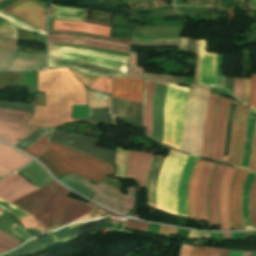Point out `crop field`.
I'll use <instances>...</instances> for the list:
<instances>
[{
	"label": "crop field",
	"instance_id": "crop-field-53",
	"mask_svg": "<svg viewBox=\"0 0 256 256\" xmlns=\"http://www.w3.org/2000/svg\"><path fill=\"white\" fill-rule=\"evenodd\" d=\"M218 99H219V96H218V98H217L216 105H215V109H214L213 124H214V116H215V112H216V108H217ZM213 124H212V138H213ZM211 145H212V139H211ZM210 151H211V147H210ZM209 156H210V153H209ZM209 156H208V157H209Z\"/></svg>",
	"mask_w": 256,
	"mask_h": 256
},
{
	"label": "crop field",
	"instance_id": "crop-field-27",
	"mask_svg": "<svg viewBox=\"0 0 256 256\" xmlns=\"http://www.w3.org/2000/svg\"><path fill=\"white\" fill-rule=\"evenodd\" d=\"M216 95H209V102L206 112V119H205V129H204V138H203V145L201 154L202 156H208L209 147H210V136H211V124H212V114L213 108L216 101Z\"/></svg>",
	"mask_w": 256,
	"mask_h": 256
},
{
	"label": "crop field",
	"instance_id": "crop-field-36",
	"mask_svg": "<svg viewBox=\"0 0 256 256\" xmlns=\"http://www.w3.org/2000/svg\"><path fill=\"white\" fill-rule=\"evenodd\" d=\"M49 133V132H48ZM47 134H45L41 139H39L35 144L31 147L27 148L26 152L30 153L31 155L37 157L40 153L43 152L45 147L47 146Z\"/></svg>",
	"mask_w": 256,
	"mask_h": 256
},
{
	"label": "crop field",
	"instance_id": "crop-field-16",
	"mask_svg": "<svg viewBox=\"0 0 256 256\" xmlns=\"http://www.w3.org/2000/svg\"><path fill=\"white\" fill-rule=\"evenodd\" d=\"M228 99L220 97L218 108L215 116L214 124V138L211 157L212 159H219L222 147L223 132H224V123H225V114L228 104Z\"/></svg>",
	"mask_w": 256,
	"mask_h": 256
},
{
	"label": "crop field",
	"instance_id": "crop-field-11",
	"mask_svg": "<svg viewBox=\"0 0 256 256\" xmlns=\"http://www.w3.org/2000/svg\"><path fill=\"white\" fill-rule=\"evenodd\" d=\"M143 79L113 77L112 96L141 102Z\"/></svg>",
	"mask_w": 256,
	"mask_h": 256
},
{
	"label": "crop field",
	"instance_id": "crop-field-48",
	"mask_svg": "<svg viewBox=\"0 0 256 256\" xmlns=\"http://www.w3.org/2000/svg\"><path fill=\"white\" fill-rule=\"evenodd\" d=\"M177 232L176 229L160 226L159 235H175Z\"/></svg>",
	"mask_w": 256,
	"mask_h": 256
},
{
	"label": "crop field",
	"instance_id": "crop-field-62",
	"mask_svg": "<svg viewBox=\"0 0 256 256\" xmlns=\"http://www.w3.org/2000/svg\"><path fill=\"white\" fill-rule=\"evenodd\" d=\"M250 256H256V251H252Z\"/></svg>",
	"mask_w": 256,
	"mask_h": 256
},
{
	"label": "crop field",
	"instance_id": "crop-field-12",
	"mask_svg": "<svg viewBox=\"0 0 256 256\" xmlns=\"http://www.w3.org/2000/svg\"><path fill=\"white\" fill-rule=\"evenodd\" d=\"M0 183V198L9 203L37 189L16 173Z\"/></svg>",
	"mask_w": 256,
	"mask_h": 256
},
{
	"label": "crop field",
	"instance_id": "crop-field-6",
	"mask_svg": "<svg viewBox=\"0 0 256 256\" xmlns=\"http://www.w3.org/2000/svg\"><path fill=\"white\" fill-rule=\"evenodd\" d=\"M189 88L168 85L165 98L163 143L180 148L185 105Z\"/></svg>",
	"mask_w": 256,
	"mask_h": 256
},
{
	"label": "crop field",
	"instance_id": "crop-field-5",
	"mask_svg": "<svg viewBox=\"0 0 256 256\" xmlns=\"http://www.w3.org/2000/svg\"><path fill=\"white\" fill-rule=\"evenodd\" d=\"M187 158L188 154L171 149L164 160L156 188L157 208L176 214L178 180Z\"/></svg>",
	"mask_w": 256,
	"mask_h": 256
},
{
	"label": "crop field",
	"instance_id": "crop-field-49",
	"mask_svg": "<svg viewBox=\"0 0 256 256\" xmlns=\"http://www.w3.org/2000/svg\"><path fill=\"white\" fill-rule=\"evenodd\" d=\"M251 170H256V129H255V137H254V147H253V156L250 164Z\"/></svg>",
	"mask_w": 256,
	"mask_h": 256
},
{
	"label": "crop field",
	"instance_id": "crop-field-59",
	"mask_svg": "<svg viewBox=\"0 0 256 256\" xmlns=\"http://www.w3.org/2000/svg\"><path fill=\"white\" fill-rule=\"evenodd\" d=\"M223 250H216L213 256H220Z\"/></svg>",
	"mask_w": 256,
	"mask_h": 256
},
{
	"label": "crop field",
	"instance_id": "crop-field-42",
	"mask_svg": "<svg viewBox=\"0 0 256 256\" xmlns=\"http://www.w3.org/2000/svg\"><path fill=\"white\" fill-rule=\"evenodd\" d=\"M148 225L149 224H147V223H141V222H137V221H133V220H127L124 228L147 232Z\"/></svg>",
	"mask_w": 256,
	"mask_h": 256
},
{
	"label": "crop field",
	"instance_id": "crop-field-44",
	"mask_svg": "<svg viewBox=\"0 0 256 256\" xmlns=\"http://www.w3.org/2000/svg\"><path fill=\"white\" fill-rule=\"evenodd\" d=\"M250 92V78H243V100L242 102L248 105Z\"/></svg>",
	"mask_w": 256,
	"mask_h": 256
},
{
	"label": "crop field",
	"instance_id": "crop-field-63",
	"mask_svg": "<svg viewBox=\"0 0 256 256\" xmlns=\"http://www.w3.org/2000/svg\"><path fill=\"white\" fill-rule=\"evenodd\" d=\"M250 252H244L243 256H249Z\"/></svg>",
	"mask_w": 256,
	"mask_h": 256
},
{
	"label": "crop field",
	"instance_id": "crop-field-66",
	"mask_svg": "<svg viewBox=\"0 0 256 256\" xmlns=\"http://www.w3.org/2000/svg\"><path fill=\"white\" fill-rule=\"evenodd\" d=\"M1 1V0H0Z\"/></svg>",
	"mask_w": 256,
	"mask_h": 256
},
{
	"label": "crop field",
	"instance_id": "crop-field-30",
	"mask_svg": "<svg viewBox=\"0 0 256 256\" xmlns=\"http://www.w3.org/2000/svg\"><path fill=\"white\" fill-rule=\"evenodd\" d=\"M89 108L108 107L111 113V96L108 94L86 89Z\"/></svg>",
	"mask_w": 256,
	"mask_h": 256
},
{
	"label": "crop field",
	"instance_id": "crop-field-15",
	"mask_svg": "<svg viewBox=\"0 0 256 256\" xmlns=\"http://www.w3.org/2000/svg\"><path fill=\"white\" fill-rule=\"evenodd\" d=\"M216 53L207 51V39H200V75L198 84L214 86Z\"/></svg>",
	"mask_w": 256,
	"mask_h": 256
},
{
	"label": "crop field",
	"instance_id": "crop-field-34",
	"mask_svg": "<svg viewBox=\"0 0 256 256\" xmlns=\"http://www.w3.org/2000/svg\"><path fill=\"white\" fill-rule=\"evenodd\" d=\"M26 112L0 109V118L10 121L24 122Z\"/></svg>",
	"mask_w": 256,
	"mask_h": 256
},
{
	"label": "crop field",
	"instance_id": "crop-field-20",
	"mask_svg": "<svg viewBox=\"0 0 256 256\" xmlns=\"http://www.w3.org/2000/svg\"><path fill=\"white\" fill-rule=\"evenodd\" d=\"M206 164L204 160H197L193 173L190 177L189 190H188V216L198 220V206L197 195L199 180L202 174V170Z\"/></svg>",
	"mask_w": 256,
	"mask_h": 256
},
{
	"label": "crop field",
	"instance_id": "crop-field-58",
	"mask_svg": "<svg viewBox=\"0 0 256 256\" xmlns=\"http://www.w3.org/2000/svg\"><path fill=\"white\" fill-rule=\"evenodd\" d=\"M249 110L250 109H248V113H249ZM248 113H247V116H248ZM247 116H246V120H247ZM245 126H246V121H245ZM245 126H244V136H245ZM243 143H244V138H243ZM242 151H243V145H242ZM242 151H241V156H242ZM240 160H241V157H240ZM239 165H240V162L238 164V167H239Z\"/></svg>",
	"mask_w": 256,
	"mask_h": 256
},
{
	"label": "crop field",
	"instance_id": "crop-field-22",
	"mask_svg": "<svg viewBox=\"0 0 256 256\" xmlns=\"http://www.w3.org/2000/svg\"><path fill=\"white\" fill-rule=\"evenodd\" d=\"M247 109L248 108L240 104L238 108L237 116H236L232 153L229 159V163L235 166L237 165L240 157L242 138H243V126H244V120H245Z\"/></svg>",
	"mask_w": 256,
	"mask_h": 256
},
{
	"label": "crop field",
	"instance_id": "crop-field-1",
	"mask_svg": "<svg viewBox=\"0 0 256 256\" xmlns=\"http://www.w3.org/2000/svg\"><path fill=\"white\" fill-rule=\"evenodd\" d=\"M37 92H45V105L35 106L27 124L52 127L71 119V105H87L84 86L68 68L39 72Z\"/></svg>",
	"mask_w": 256,
	"mask_h": 256
},
{
	"label": "crop field",
	"instance_id": "crop-field-55",
	"mask_svg": "<svg viewBox=\"0 0 256 256\" xmlns=\"http://www.w3.org/2000/svg\"><path fill=\"white\" fill-rule=\"evenodd\" d=\"M243 252L241 251H231L229 256H242Z\"/></svg>",
	"mask_w": 256,
	"mask_h": 256
},
{
	"label": "crop field",
	"instance_id": "crop-field-35",
	"mask_svg": "<svg viewBox=\"0 0 256 256\" xmlns=\"http://www.w3.org/2000/svg\"><path fill=\"white\" fill-rule=\"evenodd\" d=\"M112 79L98 77L90 87L91 89L99 90L111 94Z\"/></svg>",
	"mask_w": 256,
	"mask_h": 256
},
{
	"label": "crop field",
	"instance_id": "crop-field-37",
	"mask_svg": "<svg viewBox=\"0 0 256 256\" xmlns=\"http://www.w3.org/2000/svg\"><path fill=\"white\" fill-rule=\"evenodd\" d=\"M250 216H251L253 228H256V176L251 187Z\"/></svg>",
	"mask_w": 256,
	"mask_h": 256
},
{
	"label": "crop field",
	"instance_id": "crop-field-50",
	"mask_svg": "<svg viewBox=\"0 0 256 256\" xmlns=\"http://www.w3.org/2000/svg\"><path fill=\"white\" fill-rule=\"evenodd\" d=\"M49 36H55V37H72V38L85 39V40H91V41H96V42H102V43H107V44H113V45H120V46L129 47L128 45H122V44H117V43H112V42H106V41H101V40H95V39H89V38L78 37V36H59V35H49Z\"/></svg>",
	"mask_w": 256,
	"mask_h": 256
},
{
	"label": "crop field",
	"instance_id": "crop-field-56",
	"mask_svg": "<svg viewBox=\"0 0 256 256\" xmlns=\"http://www.w3.org/2000/svg\"><path fill=\"white\" fill-rule=\"evenodd\" d=\"M215 166H216V164H215ZM215 166H214V168H215ZM214 168H213V170H214ZM212 173H213V171H212ZM212 173L210 175V180L212 177ZM210 180H209V183H210ZM208 190H209V185H208ZM207 213H208V191H207ZM208 225H209V213H208Z\"/></svg>",
	"mask_w": 256,
	"mask_h": 256
},
{
	"label": "crop field",
	"instance_id": "crop-field-43",
	"mask_svg": "<svg viewBox=\"0 0 256 256\" xmlns=\"http://www.w3.org/2000/svg\"><path fill=\"white\" fill-rule=\"evenodd\" d=\"M250 106L256 108V74H251V99Z\"/></svg>",
	"mask_w": 256,
	"mask_h": 256
},
{
	"label": "crop field",
	"instance_id": "crop-field-19",
	"mask_svg": "<svg viewBox=\"0 0 256 256\" xmlns=\"http://www.w3.org/2000/svg\"><path fill=\"white\" fill-rule=\"evenodd\" d=\"M36 128L24 124L0 120V138L17 144L27 137Z\"/></svg>",
	"mask_w": 256,
	"mask_h": 256
},
{
	"label": "crop field",
	"instance_id": "crop-field-31",
	"mask_svg": "<svg viewBox=\"0 0 256 256\" xmlns=\"http://www.w3.org/2000/svg\"><path fill=\"white\" fill-rule=\"evenodd\" d=\"M127 154H128V150L118 147L117 153L115 156V160H116L115 177L124 178Z\"/></svg>",
	"mask_w": 256,
	"mask_h": 256
},
{
	"label": "crop field",
	"instance_id": "crop-field-61",
	"mask_svg": "<svg viewBox=\"0 0 256 256\" xmlns=\"http://www.w3.org/2000/svg\"><path fill=\"white\" fill-rule=\"evenodd\" d=\"M229 253H230V251L224 250V252H223V254L221 256H228Z\"/></svg>",
	"mask_w": 256,
	"mask_h": 256
},
{
	"label": "crop field",
	"instance_id": "crop-field-47",
	"mask_svg": "<svg viewBox=\"0 0 256 256\" xmlns=\"http://www.w3.org/2000/svg\"><path fill=\"white\" fill-rule=\"evenodd\" d=\"M188 238H191V239L210 238V234L209 233H204V232L190 231Z\"/></svg>",
	"mask_w": 256,
	"mask_h": 256
},
{
	"label": "crop field",
	"instance_id": "crop-field-41",
	"mask_svg": "<svg viewBox=\"0 0 256 256\" xmlns=\"http://www.w3.org/2000/svg\"><path fill=\"white\" fill-rule=\"evenodd\" d=\"M73 74L82 82L84 83L88 88L90 87V85L95 81V79L97 78L96 76H92V75H87V74H83L77 70H73L70 69Z\"/></svg>",
	"mask_w": 256,
	"mask_h": 256
},
{
	"label": "crop field",
	"instance_id": "crop-field-21",
	"mask_svg": "<svg viewBox=\"0 0 256 256\" xmlns=\"http://www.w3.org/2000/svg\"><path fill=\"white\" fill-rule=\"evenodd\" d=\"M224 165L218 164L211 183L209 191V213H210V226H219V216H218V190L219 183L221 181L222 174L225 170Z\"/></svg>",
	"mask_w": 256,
	"mask_h": 256
},
{
	"label": "crop field",
	"instance_id": "crop-field-38",
	"mask_svg": "<svg viewBox=\"0 0 256 256\" xmlns=\"http://www.w3.org/2000/svg\"><path fill=\"white\" fill-rule=\"evenodd\" d=\"M137 52H130L128 75L142 76L144 68L136 66Z\"/></svg>",
	"mask_w": 256,
	"mask_h": 256
},
{
	"label": "crop field",
	"instance_id": "crop-field-8",
	"mask_svg": "<svg viewBox=\"0 0 256 256\" xmlns=\"http://www.w3.org/2000/svg\"><path fill=\"white\" fill-rule=\"evenodd\" d=\"M2 10L42 29H46V9L40 7L39 5L29 1V0H19ZM0 16L6 19L8 22L12 23L13 26L23 28L26 30L34 31L37 33L45 34V32L3 12L0 10Z\"/></svg>",
	"mask_w": 256,
	"mask_h": 256
},
{
	"label": "crop field",
	"instance_id": "crop-field-39",
	"mask_svg": "<svg viewBox=\"0 0 256 256\" xmlns=\"http://www.w3.org/2000/svg\"><path fill=\"white\" fill-rule=\"evenodd\" d=\"M215 249L213 248H200L192 246L189 256H212Z\"/></svg>",
	"mask_w": 256,
	"mask_h": 256
},
{
	"label": "crop field",
	"instance_id": "crop-field-3",
	"mask_svg": "<svg viewBox=\"0 0 256 256\" xmlns=\"http://www.w3.org/2000/svg\"><path fill=\"white\" fill-rule=\"evenodd\" d=\"M41 155L64 176L76 172L98 184L107 174H114L113 166L63 145L49 142Z\"/></svg>",
	"mask_w": 256,
	"mask_h": 256
},
{
	"label": "crop field",
	"instance_id": "crop-field-17",
	"mask_svg": "<svg viewBox=\"0 0 256 256\" xmlns=\"http://www.w3.org/2000/svg\"><path fill=\"white\" fill-rule=\"evenodd\" d=\"M197 158L196 156L190 155L181 172L177 194V214L180 215L187 216L188 182Z\"/></svg>",
	"mask_w": 256,
	"mask_h": 256
},
{
	"label": "crop field",
	"instance_id": "crop-field-54",
	"mask_svg": "<svg viewBox=\"0 0 256 256\" xmlns=\"http://www.w3.org/2000/svg\"><path fill=\"white\" fill-rule=\"evenodd\" d=\"M89 204H91V203H89ZM92 206H93V205H92ZM95 206H96V205H95ZM96 207H98V206H96ZM98 208L101 209L102 211H104L106 214H108V215H110V216H114V217H118V218H124V217H122V216H119V215L110 213V212H108V211H106V210H104V209H102V208H100V207H98Z\"/></svg>",
	"mask_w": 256,
	"mask_h": 256
},
{
	"label": "crop field",
	"instance_id": "crop-field-45",
	"mask_svg": "<svg viewBox=\"0 0 256 256\" xmlns=\"http://www.w3.org/2000/svg\"><path fill=\"white\" fill-rule=\"evenodd\" d=\"M233 94L241 100V98H242V79L234 78Z\"/></svg>",
	"mask_w": 256,
	"mask_h": 256
},
{
	"label": "crop field",
	"instance_id": "crop-field-24",
	"mask_svg": "<svg viewBox=\"0 0 256 256\" xmlns=\"http://www.w3.org/2000/svg\"><path fill=\"white\" fill-rule=\"evenodd\" d=\"M255 121H256V111L251 109L248 122H247V127H246L244 151H243V157H242L241 166H240L246 169H248L249 162H250L253 137H254V129H255Z\"/></svg>",
	"mask_w": 256,
	"mask_h": 256
},
{
	"label": "crop field",
	"instance_id": "crop-field-57",
	"mask_svg": "<svg viewBox=\"0 0 256 256\" xmlns=\"http://www.w3.org/2000/svg\"><path fill=\"white\" fill-rule=\"evenodd\" d=\"M247 173L248 172H246L245 179H246ZM245 179H244V182H245ZM244 182H243V184H244ZM243 184H242V187H243ZM241 194H242V189H241ZM240 216H241V195H240ZM241 223H242V227H243L242 216H241ZM243 229H244V227H243Z\"/></svg>",
	"mask_w": 256,
	"mask_h": 256
},
{
	"label": "crop field",
	"instance_id": "crop-field-64",
	"mask_svg": "<svg viewBox=\"0 0 256 256\" xmlns=\"http://www.w3.org/2000/svg\"><path fill=\"white\" fill-rule=\"evenodd\" d=\"M225 77L223 76V87H224Z\"/></svg>",
	"mask_w": 256,
	"mask_h": 256
},
{
	"label": "crop field",
	"instance_id": "crop-field-60",
	"mask_svg": "<svg viewBox=\"0 0 256 256\" xmlns=\"http://www.w3.org/2000/svg\"><path fill=\"white\" fill-rule=\"evenodd\" d=\"M221 238H231V233L222 234Z\"/></svg>",
	"mask_w": 256,
	"mask_h": 256
},
{
	"label": "crop field",
	"instance_id": "crop-field-13",
	"mask_svg": "<svg viewBox=\"0 0 256 256\" xmlns=\"http://www.w3.org/2000/svg\"><path fill=\"white\" fill-rule=\"evenodd\" d=\"M31 158L0 142V177L12 173L25 165Z\"/></svg>",
	"mask_w": 256,
	"mask_h": 256
},
{
	"label": "crop field",
	"instance_id": "crop-field-33",
	"mask_svg": "<svg viewBox=\"0 0 256 256\" xmlns=\"http://www.w3.org/2000/svg\"><path fill=\"white\" fill-rule=\"evenodd\" d=\"M182 28L139 27L137 32L149 34H179Z\"/></svg>",
	"mask_w": 256,
	"mask_h": 256
},
{
	"label": "crop field",
	"instance_id": "crop-field-52",
	"mask_svg": "<svg viewBox=\"0 0 256 256\" xmlns=\"http://www.w3.org/2000/svg\"><path fill=\"white\" fill-rule=\"evenodd\" d=\"M188 232L189 231H186V230H180V232H179L180 238L187 239Z\"/></svg>",
	"mask_w": 256,
	"mask_h": 256
},
{
	"label": "crop field",
	"instance_id": "crop-field-32",
	"mask_svg": "<svg viewBox=\"0 0 256 256\" xmlns=\"http://www.w3.org/2000/svg\"><path fill=\"white\" fill-rule=\"evenodd\" d=\"M4 213H6V212L0 209V215H2ZM20 244H22V243L14 240L11 237L0 232V252H2V253L7 252Z\"/></svg>",
	"mask_w": 256,
	"mask_h": 256
},
{
	"label": "crop field",
	"instance_id": "crop-field-29",
	"mask_svg": "<svg viewBox=\"0 0 256 256\" xmlns=\"http://www.w3.org/2000/svg\"><path fill=\"white\" fill-rule=\"evenodd\" d=\"M256 173L249 172L242 194V216L245 229H251V220L249 216V189Z\"/></svg>",
	"mask_w": 256,
	"mask_h": 256
},
{
	"label": "crop field",
	"instance_id": "crop-field-4",
	"mask_svg": "<svg viewBox=\"0 0 256 256\" xmlns=\"http://www.w3.org/2000/svg\"><path fill=\"white\" fill-rule=\"evenodd\" d=\"M209 90L208 87L190 86L181 151L200 154Z\"/></svg>",
	"mask_w": 256,
	"mask_h": 256
},
{
	"label": "crop field",
	"instance_id": "crop-field-18",
	"mask_svg": "<svg viewBox=\"0 0 256 256\" xmlns=\"http://www.w3.org/2000/svg\"><path fill=\"white\" fill-rule=\"evenodd\" d=\"M245 171L244 169H237L230 188V217L231 227L234 229H242L239 217V195Z\"/></svg>",
	"mask_w": 256,
	"mask_h": 256
},
{
	"label": "crop field",
	"instance_id": "crop-field-40",
	"mask_svg": "<svg viewBox=\"0 0 256 256\" xmlns=\"http://www.w3.org/2000/svg\"><path fill=\"white\" fill-rule=\"evenodd\" d=\"M145 77L149 78H154V79H159L163 81H168V82H178L182 83L183 77H178V76H168V75H158V74H148L144 73Z\"/></svg>",
	"mask_w": 256,
	"mask_h": 256
},
{
	"label": "crop field",
	"instance_id": "crop-field-9",
	"mask_svg": "<svg viewBox=\"0 0 256 256\" xmlns=\"http://www.w3.org/2000/svg\"><path fill=\"white\" fill-rule=\"evenodd\" d=\"M68 176L75 179L84 186L90 188L91 190L95 191L96 193L92 199L93 201L101 205L107 206L115 211L121 212L125 215L127 214L128 208L133 209L135 201L134 187H128L129 193L128 195H126L107 186L102 182L99 185H96L75 173Z\"/></svg>",
	"mask_w": 256,
	"mask_h": 256
},
{
	"label": "crop field",
	"instance_id": "crop-field-28",
	"mask_svg": "<svg viewBox=\"0 0 256 256\" xmlns=\"http://www.w3.org/2000/svg\"><path fill=\"white\" fill-rule=\"evenodd\" d=\"M52 42L78 44V45H84V46H89V47H95V48H101V49L125 52V53H128V50H129V48H126V47L100 44V43H95V42H91V41L49 37L48 46H52Z\"/></svg>",
	"mask_w": 256,
	"mask_h": 256
},
{
	"label": "crop field",
	"instance_id": "crop-field-26",
	"mask_svg": "<svg viewBox=\"0 0 256 256\" xmlns=\"http://www.w3.org/2000/svg\"><path fill=\"white\" fill-rule=\"evenodd\" d=\"M215 163L207 162L203 174L201 176L200 188H199V196H198V206H199V220L207 222V214H206V190L209 175L212 171V168Z\"/></svg>",
	"mask_w": 256,
	"mask_h": 256
},
{
	"label": "crop field",
	"instance_id": "crop-field-65",
	"mask_svg": "<svg viewBox=\"0 0 256 256\" xmlns=\"http://www.w3.org/2000/svg\"><path fill=\"white\" fill-rule=\"evenodd\" d=\"M0 254H2V253H0Z\"/></svg>",
	"mask_w": 256,
	"mask_h": 256
},
{
	"label": "crop field",
	"instance_id": "crop-field-14",
	"mask_svg": "<svg viewBox=\"0 0 256 256\" xmlns=\"http://www.w3.org/2000/svg\"><path fill=\"white\" fill-rule=\"evenodd\" d=\"M237 168L227 166L223 174L220 191H219V215L221 222V230H230L229 218V188L232 177Z\"/></svg>",
	"mask_w": 256,
	"mask_h": 256
},
{
	"label": "crop field",
	"instance_id": "crop-field-25",
	"mask_svg": "<svg viewBox=\"0 0 256 256\" xmlns=\"http://www.w3.org/2000/svg\"><path fill=\"white\" fill-rule=\"evenodd\" d=\"M54 29L77 30L109 36L110 28L68 21H54Z\"/></svg>",
	"mask_w": 256,
	"mask_h": 256
},
{
	"label": "crop field",
	"instance_id": "crop-field-2",
	"mask_svg": "<svg viewBox=\"0 0 256 256\" xmlns=\"http://www.w3.org/2000/svg\"><path fill=\"white\" fill-rule=\"evenodd\" d=\"M70 191L53 181L11 204L30 213L47 231H53L94 210L68 197Z\"/></svg>",
	"mask_w": 256,
	"mask_h": 256
},
{
	"label": "crop field",
	"instance_id": "crop-field-23",
	"mask_svg": "<svg viewBox=\"0 0 256 256\" xmlns=\"http://www.w3.org/2000/svg\"><path fill=\"white\" fill-rule=\"evenodd\" d=\"M155 81L145 79L142 106L143 127H146L145 134L150 136L152 129V98Z\"/></svg>",
	"mask_w": 256,
	"mask_h": 256
},
{
	"label": "crop field",
	"instance_id": "crop-field-46",
	"mask_svg": "<svg viewBox=\"0 0 256 256\" xmlns=\"http://www.w3.org/2000/svg\"><path fill=\"white\" fill-rule=\"evenodd\" d=\"M230 101H229V103H230ZM234 103H236V102H234ZM236 104H237V107H236V111H237V108H238L239 104L238 103H236ZM228 107H229V104H228ZM227 114H228V108H227ZM227 114H226V123H227ZM235 115H236V112H235ZM234 122H235V116H234ZM234 122H233V130H234ZM233 130H232V138H233ZM225 132H226V124H225ZM232 138H231V146H232ZM224 140H225V133H224ZM224 140H223V147H224ZM231 146H230V153H231ZM223 147H222V153H223ZM222 153H221L220 160L227 162L229 157H230V153H229V157L228 158L222 157Z\"/></svg>",
	"mask_w": 256,
	"mask_h": 256
},
{
	"label": "crop field",
	"instance_id": "crop-field-10",
	"mask_svg": "<svg viewBox=\"0 0 256 256\" xmlns=\"http://www.w3.org/2000/svg\"><path fill=\"white\" fill-rule=\"evenodd\" d=\"M154 156L129 151L125 178L136 179L139 186L145 188L146 176Z\"/></svg>",
	"mask_w": 256,
	"mask_h": 256
},
{
	"label": "crop field",
	"instance_id": "crop-field-7",
	"mask_svg": "<svg viewBox=\"0 0 256 256\" xmlns=\"http://www.w3.org/2000/svg\"><path fill=\"white\" fill-rule=\"evenodd\" d=\"M1 32L16 33L7 21L0 23ZM0 32V48L16 49L15 34ZM43 54L0 49V69L35 70L45 65Z\"/></svg>",
	"mask_w": 256,
	"mask_h": 256
},
{
	"label": "crop field",
	"instance_id": "crop-field-51",
	"mask_svg": "<svg viewBox=\"0 0 256 256\" xmlns=\"http://www.w3.org/2000/svg\"><path fill=\"white\" fill-rule=\"evenodd\" d=\"M199 75V40H197V63H196V75L193 84H197Z\"/></svg>",
	"mask_w": 256,
	"mask_h": 256
}]
</instances>
